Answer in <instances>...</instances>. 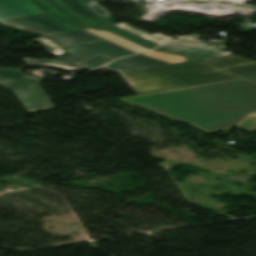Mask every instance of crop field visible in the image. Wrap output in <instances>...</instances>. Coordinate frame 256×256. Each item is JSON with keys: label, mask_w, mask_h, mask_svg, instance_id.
<instances>
[{"label": "crop field", "mask_w": 256, "mask_h": 256, "mask_svg": "<svg viewBox=\"0 0 256 256\" xmlns=\"http://www.w3.org/2000/svg\"><path fill=\"white\" fill-rule=\"evenodd\" d=\"M170 119L256 103V83L245 78L120 99Z\"/></svg>", "instance_id": "8a807250"}, {"label": "crop field", "mask_w": 256, "mask_h": 256, "mask_svg": "<svg viewBox=\"0 0 256 256\" xmlns=\"http://www.w3.org/2000/svg\"><path fill=\"white\" fill-rule=\"evenodd\" d=\"M137 95L239 78L204 60L120 73Z\"/></svg>", "instance_id": "ac0d7876"}, {"label": "crop field", "mask_w": 256, "mask_h": 256, "mask_svg": "<svg viewBox=\"0 0 256 256\" xmlns=\"http://www.w3.org/2000/svg\"><path fill=\"white\" fill-rule=\"evenodd\" d=\"M44 14L1 21L0 24L45 36L89 28L57 0H30Z\"/></svg>", "instance_id": "34b2d1b8"}, {"label": "crop field", "mask_w": 256, "mask_h": 256, "mask_svg": "<svg viewBox=\"0 0 256 256\" xmlns=\"http://www.w3.org/2000/svg\"><path fill=\"white\" fill-rule=\"evenodd\" d=\"M69 55L60 60L40 59V58H22L28 66H48L58 68L65 72L83 70L84 62L92 59L98 54L106 55L116 59L135 54L116 44L103 40L97 43L72 46L68 48Z\"/></svg>", "instance_id": "412701ff"}, {"label": "crop field", "mask_w": 256, "mask_h": 256, "mask_svg": "<svg viewBox=\"0 0 256 256\" xmlns=\"http://www.w3.org/2000/svg\"><path fill=\"white\" fill-rule=\"evenodd\" d=\"M42 78L22 75L18 69L0 68V85L14 90L29 112L54 108L39 84Z\"/></svg>", "instance_id": "f4fd0767"}, {"label": "crop field", "mask_w": 256, "mask_h": 256, "mask_svg": "<svg viewBox=\"0 0 256 256\" xmlns=\"http://www.w3.org/2000/svg\"><path fill=\"white\" fill-rule=\"evenodd\" d=\"M251 113H256V104L174 120L186 122L209 133L221 131L225 126L245 119Z\"/></svg>", "instance_id": "dd49c442"}, {"label": "crop field", "mask_w": 256, "mask_h": 256, "mask_svg": "<svg viewBox=\"0 0 256 256\" xmlns=\"http://www.w3.org/2000/svg\"><path fill=\"white\" fill-rule=\"evenodd\" d=\"M47 48V54L59 56L64 53L69 45L103 40L99 37L86 33L82 30L71 31L61 34L32 39Z\"/></svg>", "instance_id": "e52e79f7"}, {"label": "crop field", "mask_w": 256, "mask_h": 256, "mask_svg": "<svg viewBox=\"0 0 256 256\" xmlns=\"http://www.w3.org/2000/svg\"><path fill=\"white\" fill-rule=\"evenodd\" d=\"M96 29L100 30H110L122 37H125L133 42L146 46L150 49L172 39L167 38L159 33L155 35H151L149 33L137 30L125 23L113 24L109 26L103 27H96ZM201 36L199 34H193L191 36H181V37H173V38H180V39H198Z\"/></svg>", "instance_id": "d8731c3e"}, {"label": "crop field", "mask_w": 256, "mask_h": 256, "mask_svg": "<svg viewBox=\"0 0 256 256\" xmlns=\"http://www.w3.org/2000/svg\"><path fill=\"white\" fill-rule=\"evenodd\" d=\"M202 42L192 41H173L166 45H163L155 50L205 59L223 55H229L228 52H219L213 48L207 46H201Z\"/></svg>", "instance_id": "5a996713"}, {"label": "crop field", "mask_w": 256, "mask_h": 256, "mask_svg": "<svg viewBox=\"0 0 256 256\" xmlns=\"http://www.w3.org/2000/svg\"><path fill=\"white\" fill-rule=\"evenodd\" d=\"M206 60L243 77L256 75V62L240 56L230 55Z\"/></svg>", "instance_id": "3316defc"}, {"label": "crop field", "mask_w": 256, "mask_h": 256, "mask_svg": "<svg viewBox=\"0 0 256 256\" xmlns=\"http://www.w3.org/2000/svg\"><path fill=\"white\" fill-rule=\"evenodd\" d=\"M43 13L29 0H0V20Z\"/></svg>", "instance_id": "28ad6ade"}, {"label": "crop field", "mask_w": 256, "mask_h": 256, "mask_svg": "<svg viewBox=\"0 0 256 256\" xmlns=\"http://www.w3.org/2000/svg\"><path fill=\"white\" fill-rule=\"evenodd\" d=\"M160 65H166V63H163L155 59L134 55V56L119 59L111 64L105 65L98 69H109L114 72H122V71L138 69V68L160 66ZM98 69L91 70V72H94Z\"/></svg>", "instance_id": "d1516ede"}, {"label": "crop field", "mask_w": 256, "mask_h": 256, "mask_svg": "<svg viewBox=\"0 0 256 256\" xmlns=\"http://www.w3.org/2000/svg\"><path fill=\"white\" fill-rule=\"evenodd\" d=\"M69 8H71L76 14H78L82 19H84L92 27L103 26L105 23L90 9L83 6L82 3L92 1V0H61ZM107 25V24H106Z\"/></svg>", "instance_id": "22f410ed"}, {"label": "crop field", "mask_w": 256, "mask_h": 256, "mask_svg": "<svg viewBox=\"0 0 256 256\" xmlns=\"http://www.w3.org/2000/svg\"><path fill=\"white\" fill-rule=\"evenodd\" d=\"M84 31L94 34L96 36H99L101 38H104L106 40H109L111 42H114V43H116L122 47H125L133 52H136V53L148 50L136 43L126 40V39H124L114 33H111V32L97 31V30H93L91 28L85 29Z\"/></svg>", "instance_id": "cbeb9de0"}, {"label": "crop field", "mask_w": 256, "mask_h": 256, "mask_svg": "<svg viewBox=\"0 0 256 256\" xmlns=\"http://www.w3.org/2000/svg\"><path fill=\"white\" fill-rule=\"evenodd\" d=\"M143 55H147L156 59H160L169 63H175V62H180V61H186V60H192L190 58H184L176 55H171L167 53H161V52H155V51H150V52H145L141 53Z\"/></svg>", "instance_id": "5142ce71"}, {"label": "crop field", "mask_w": 256, "mask_h": 256, "mask_svg": "<svg viewBox=\"0 0 256 256\" xmlns=\"http://www.w3.org/2000/svg\"><path fill=\"white\" fill-rule=\"evenodd\" d=\"M111 60L112 59H109L105 56L99 55V56L95 57L94 59L90 60L89 62H87L86 65L89 69H91V68H95L97 66L103 65Z\"/></svg>", "instance_id": "d9b57169"}, {"label": "crop field", "mask_w": 256, "mask_h": 256, "mask_svg": "<svg viewBox=\"0 0 256 256\" xmlns=\"http://www.w3.org/2000/svg\"><path fill=\"white\" fill-rule=\"evenodd\" d=\"M243 130H256V116H251L238 126Z\"/></svg>", "instance_id": "733c2abd"}, {"label": "crop field", "mask_w": 256, "mask_h": 256, "mask_svg": "<svg viewBox=\"0 0 256 256\" xmlns=\"http://www.w3.org/2000/svg\"><path fill=\"white\" fill-rule=\"evenodd\" d=\"M248 78L256 81V76H254V77H248Z\"/></svg>", "instance_id": "4a817a6b"}]
</instances>
